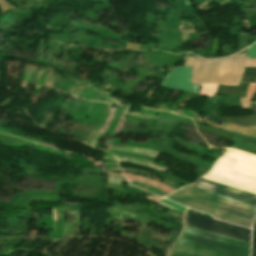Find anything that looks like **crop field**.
<instances>
[{
    "label": "crop field",
    "mask_w": 256,
    "mask_h": 256,
    "mask_svg": "<svg viewBox=\"0 0 256 256\" xmlns=\"http://www.w3.org/2000/svg\"><path fill=\"white\" fill-rule=\"evenodd\" d=\"M252 256H256V220H255V223L253 225Z\"/></svg>",
    "instance_id": "10"
},
{
    "label": "crop field",
    "mask_w": 256,
    "mask_h": 256,
    "mask_svg": "<svg viewBox=\"0 0 256 256\" xmlns=\"http://www.w3.org/2000/svg\"><path fill=\"white\" fill-rule=\"evenodd\" d=\"M247 57H256V43L248 47Z\"/></svg>",
    "instance_id": "11"
},
{
    "label": "crop field",
    "mask_w": 256,
    "mask_h": 256,
    "mask_svg": "<svg viewBox=\"0 0 256 256\" xmlns=\"http://www.w3.org/2000/svg\"><path fill=\"white\" fill-rule=\"evenodd\" d=\"M190 185L256 205V195L209 180L200 178L198 181Z\"/></svg>",
    "instance_id": "6"
},
{
    "label": "crop field",
    "mask_w": 256,
    "mask_h": 256,
    "mask_svg": "<svg viewBox=\"0 0 256 256\" xmlns=\"http://www.w3.org/2000/svg\"><path fill=\"white\" fill-rule=\"evenodd\" d=\"M242 81L256 83V67H246Z\"/></svg>",
    "instance_id": "9"
},
{
    "label": "crop field",
    "mask_w": 256,
    "mask_h": 256,
    "mask_svg": "<svg viewBox=\"0 0 256 256\" xmlns=\"http://www.w3.org/2000/svg\"><path fill=\"white\" fill-rule=\"evenodd\" d=\"M184 225L250 243L251 229L185 213Z\"/></svg>",
    "instance_id": "5"
},
{
    "label": "crop field",
    "mask_w": 256,
    "mask_h": 256,
    "mask_svg": "<svg viewBox=\"0 0 256 256\" xmlns=\"http://www.w3.org/2000/svg\"><path fill=\"white\" fill-rule=\"evenodd\" d=\"M202 178L256 194V156L229 149Z\"/></svg>",
    "instance_id": "3"
},
{
    "label": "crop field",
    "mask_w": 256,
    "mask_h": 256,
    "mask_svg": "<svg viewBox=\"0 0 256 256\" xmlns=\"http://www.w3.org/2000/svg\"><path fill=\"white\" fill-rule=\"evenodd\" d=\"M190 67L180 66L171 70L161 86L187 92H196L197 86L189 85Z\"/></svg>",
    "instance_id": "7"
},
{
    "label": "crop field",
    "mask_w": 256,
    "mask_h": 256,
    "mask_svg": "<svg viewBox=\"0 0 256 256\" xmlns=\"http://www.w3.org/2000/svg\"><path fill=\"white\" fill-rule=\"evenodd\" d=\"M251 109L256 110V105L255 104H251Z\"/></svg>",
    "instance_id": "13"
},
{
    "label": "crop field",
    "mask_w": 256,
    "mask_h": 256,
    "mask_svg": "<svg viewBox=\"0 0 256 256\" xmlns=\"http://www.w3.org/2000/svg\"><path fill=\"white\" fill-rule=\"evenodd\" d=\"M168 256H186V255H183V254H179V253H175V252H169Z\"/></svg>",
    "instance_id": "12"
},
{
    "label": "crop field",
    "mask_w": 256,
    "mask_h": 256,
    "mask_svg": "<svg viewBox=\"0 0 256 256\" xmlns=\"http://www.w3.org/2000/svg\"><path fill=\"white\" fill-rule=\"evenodd\" d=\"M249 249V243L184 226L171 251L190 256H249Z\"/></svg>",
    "instance_id": "2"
},
{
    "label": "crop field",
    "mask_w": 256,
    "mask_h": 256,
    "mask_svg": "<svg viewBox=\"0 0 256 256\" xmlns=\"http://www.w3.org/2000/svg\"><path fill=\"white\" fill-rule=\"evenodd\" d=\"M244 56L234 55L212 60L188 57L186 65L193 66V84L238 85L243 66H256V58H244Z\"/></svg>",
    "instance_id": "4"
},
{
    "label": "crop field",
    "mask_w": 256,
    "mask_h": 256,
    "mask_svg": "<svg viewBox=\"0 0 256 256\" xmlns=\"http://www.w3.org/2000/svg\"><path fill=\"white\" fill-rule=\"evenodd\" d=\"M165 198L192 209L250 226L256 214V206L189 186L182 187Z\"/></svg>",
    "instance_id": "1"
},
{
    "label": "crop field",
    "mask_w": 256,
    "mask_h": 256,
    "mask_svg": "<svg viewBox=\"0 0 256 256\" xmlns=\"http://www.w3.org/2000/svg\"><path fill=\"white\" fill-rule=\"evenodd\" d=\"M226 122L241 125V126H246L253 128L254 125H256V117L251 116V117H245V118H236V119H226V118H220Z\"/></svg>",
    "instance_id": "8"
}]
</instances>
